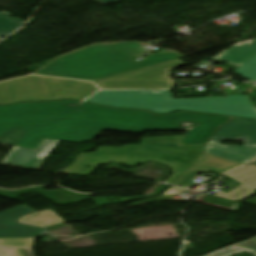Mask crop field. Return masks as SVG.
Wrapping results in <instances>:
<instances>
[{
  "label": "crop field",
  "mask_w": 256,
  "mask_h": 256,
  "mask_svg": "<svg viewBox=\"0 0 256 256\" xmlns=\"http://www.w3.org/2000/svg\"><path fill=\"white\" fill-rule=\"evenodd\" d=\"M152 115L77 101L19 103L0 106V137L11 129L23 130L15 146L36 150L44 139L81 142L102 130L143 133Z\"/></svg>",
  "instance_id": "8a807250"
},
{
  "label": "crop field",
  "mask_w": 256,
  "mask_h": 256,
  "mask_svg": "<svg viewBox=\"0 0 256 256\" xmlns=\"http://www.w3.org/2000/svg\"><path fill=\"white\" fill-rule=\"evenodd\" d=\"M140 43L95 45L81 51L62 56L37 72L38 75L55 76L79 80L97 81L130 71L180 58L177 53L163 51L138 63L136 50Z\"/></svg>",
  "instance_id": "ac0d7876"
},
{
  "label": "crop field",
  "mask_w": 256,
  "mask_h": 256,
  "mask_svg": "<svg viewBox=\"0 0 256 256\" xmlns=\"http://www.w3.org/2000/svg\"><path fill=\"white\" fill-rule=\"evenodd\" d=\"M184 136L142 138L140 145L121 148L100 147L94 153H85L72 174L88 176L99 164L109 162L135 166L148 161L164 164L173 170L165 181L174 184L200 157L206 145L179 146ZM87 165H91L86 169Z\"/></svg>",
  "instance_id": "34b2d1b8"
},
{
  "label": "crop field",
  "mask_w": 256,
  "mask_h": 256,
  "mask_svg": "<svg viewBox=\"0 0 256 256\" xmlns=\"http://www.w3.org/2000/svg\"><path fill=\"white\" fill-rule=\"evenodd\" d=\"M227 100L228 111H226L224 98L172 100L167 91H100L86 101L112 107H130L151 111L154 106H168L256 115L253 106L243 104L240 96H228Z\"/></svg>",
  "instance_id": "412701ff"
},
{
  "label": "crop field",
  "mask_w": 256,
  "mask_h": 256,
  "mask_svg": "<svg viewBox=\"0 0 256 256\" xmlns=\"http://www.w3.org/2000/svg\"><path fill=\"white\" fill-rule=\"evenodd\" d=\"M96 90L89 82L30 76L1 83L0 104L56 99L82 101Z\"/></svg>",
  "instance_id": "f4fd0767"
},
{
  "label": "crop field",
  "mask_w": 256,
  "mask_h": 256,
  "mask_svg": "<svg viewBox=\"0 0 256 256\" xmlns=\"http://www.w3.org/2000/svg\"><path fill=\"white\" fill-rule=\"evenodd\" d=\"M182 65L186 64L177 59L150 68L97 81V83L102 89L171 88L173 80L170 79L169 75L172 69Z\"/></svg>",
  "instance_id": "dd49c442"
},
{
  "label": "crop field",
  "mask_w": 256,
  "mask_h": 256,
  "mask_svg": "<svg viewBox=\"0 0 256 256\" xmlns=\"http://www.w3.org/2000/svg\"><path fill=\"white\" fill-rule=\"evenodd\" d=\"M57 143L44 140L36 151L13 147L0 165L37 170Z\"/></svg>",
  "instance_id": "e52e79f7"
},
{
  "label": "crop field",
  "mask_w": 256,
  "mask_h": 256,
  "mask_svg": "<svg viewBox=\"0 0 256 256\" xmlns=\"http://www.w3.org/2000/svg\"><path fill=\"white\" fill-rule=\"evenodd\" d=\"M34 211L26 206L0 214V238L40 237L48 229L16 223V218Z\"/></svg>",
  "instance_id": "d8731c3e"
},
{
  "label": "crop field",
  "mask_w": 256,
  "mask_h": 256,
  "mask_svg": "<svg viewBox=\"0 0 256 256\" xmlns=\"http://www.w3.org/2000/svg\"><path fill=\"white\" fill-rule=\"evenodd\" d=\"M246 140L244 145L256 146V120L235 118L217 130L210 143L221 144L222 140Z\"/></svg>",
  "instance_id": "5a996713"
},
{
  "label": "crop field",
  "mask_w": 256,
  "mask_h": 256,
  "mask_svg": "<svg viewBox=\"0 0 256 256\" xmlns=\"http://www.w3.org/2000/svg\"><path fill=\"white\" fill-rule=\"evenodd\" d=\"M241 165L244 164L203 153L201 159L181 177L176 185L193 189L197 185L191 181L199 172L210 171L223 174L225 171Z\"/></svg>",
  "instance_id": "3316defc"
},
{
  "label": "crop field",
  "mask_w": 256,
  "mask_h": 256,
  "mask_svg": "<svg viewBox=\"0 0 256 256\" xmlns=\"http://www.w3.org/2000/svg\"><path fill=\"white\" fill-rule=\"evenodd\" d=\"M230 119L232 118L212 115L204 123L188 131L181 145L207 144L215 129Z\"/></svg>",
  "instance_id": "28ad6ade"
},
{
  "label": "crop field",
  "mask_w": 256,
  "mask_h": 256,
  "mask_svg": "<svg viewBox=\"0 0 256 256\" xmlns=\"http://www.w3.org/2000/svg\"><path fill=\"white\" fill-rule=\"evenodd\" d=\"M211 115L179 112L168 116L153 115L149 130H175L183 121L201 124Z\"/></svg>",
  "instance_id": "d1516ede"
},
{
  "label": "crop field",
  "mask_w": 256,
  "mask_h": 256,
  "mask_svg": "<svg viewBox=\"0 0 256 256\" xmlns=\"http://www.w3.org/2000/svg\"><path fill=\"white\" fill-rule=\"evenodd\" d=\"M205 153L246 164L256 158V147L209 144Z\"/></svg>",
  "instance_id": "22f410ed"
},
{
  "label": "crop field",
  "mask_w": 256,
  "mask_h": 256,
  "mask_svg": "<svg viewBox=\"0 0 256 256\" xmlns=\"http://www.w3.org/2000/svg\"><path fill=\"white\" fill-rule=\"evenodd\" d=\"M256 54V39L238 43L227 51L219 53L215 59L241 66Z\"/></svg>",
  "instance_id": "cbeb9de0"
},
{
  "label": "crop field",
  "mask_w": 256,
  "mask_h": 256,
  "mask_svg": "<svg viewBox=\"0 0 256 256\" xmlns=\"http://www.w3.org/2000/svg\"><path fill=\"white\" fill-rule=\"evenodd\" d=\"M17 222L46 228L65 222V220L57 216L53 210H44L20 217Z\"/></svg>",
  "instance_id": "5142ce71"
},
{
  "label": "crop field",
  "mask_w": 256,
  "mask_h": 256,
  "mask_svg": "<svg viewBox=\"0 0 256 256\" xmlns=\"http://www.w3.org/2000/svg\"><path fill=\"white\" fill-rule=\"evenodd\" d=\"M35 239H0V256H24L19 248L31 249Z\"/></svg>",
  "instance_id": "d9b57169"
},
{
  "label": "crop field",
  "mask_w": 256,
  "mask_h": 256,
  "mask_svg": "<svg viewBox=\"0 0 256 256\" xmlns=\"http://www.w3.org/2000/svg\"><path fill=\"white\" fill-rule=\"evenodd\" d=\"M244 251H247L256 256V237L245 242L232 245L207 256H233Z\"/></svg>",
  "instance_id": "733c2abd"
},
{
  "label": "crop field",
  "mask_w": 256,
  "mask_h": 256,
  "mask_svg": "<svg viewBox=\"0 0 256 256\" xmlns=\"http://www.w3.org/2000/svg\"><path fill=\"white\" fill-rule=\"evenodd\" d=\"M9 15L7 12L0 13V37L14 32L25 22L19 18L10 19Z\"/></svg>",
  "instance_id": "4a817a6b"
},
{
  "label": "crop field",
  "mask_w": 256,
  "mask_h": 256,
  "mask_svg": "<svg viewBox=\"0 0 256 256\" xmlns=\"http://www.w3.org/2000/svg\"><path fill=\"white\" fill-rule=\"evenodd\" d=\"M236 73L250 81H256V55L238 68Z\"/></svg>",
  "instance_id": "bc2a9ffb"
},
{
  "label": "crop field",
  "mask_w": 256,
  "mask_h": 256,
  "mask_svg": "<svg viewBox=\"0 0 256 256\" xmlns=\"http://www.w3.org/2000/svg\"><path fill=\"white\" fill-rule=\"evenodd\" d=\"M175 109L189 110V111H194V112L215 113V114H222V115H228V116H239V117H244V118H255L256 117V116H252V115L232 114V113H224V112H217V111H204V110L189 109V108L155 107L152 112H155V113H168V112L173 111Z\"/></svg>",
  "instance_id": "214f88e0"
},
{
  "label": "crop field",
  "mask_w": 256,
  "mask_h": 256,
  "mask_svg": "<svg viewBox=\"0 0 256 256\" xmlns=\"http://www.w3.org/2000/svg\"><path fill=\"white\" fill-rule=\"evenodd\" d=\"M21 135L22 131L12 130L0 138V143L14 146Z\"/></svg>",
  "instance_id": "92a150f3"
},
{
  "label": "crop field",
  "mask_w": 256,
  "mask_h": 256,
  "mask_svg": "<svg viewBox=\"0 0 256 256\" xmlns=\"http://www.w3.org/2000/svg\"><path fill=\"white\" fill-rule=\"evenodd\" d=\"M95 1H97V2H99L101 4H103V5H106V4H108V3L112 2V1L117 2L119 0H95Z\"/></svg>",
  "instance_id": "dafd665d"
},
{
  "label": "crop field",
  "mask_w": 256,
  "mask_h": 256,
  "mask_svg": "<svg viewBox=\"0 0 256 256\" xmlns=\"http://www.w3.org/2000/svg\"><path fill=\"white\" fill-rule=\"evenodd\" d=\"M21 251L23 252V254H24L25 256H32V254H31V251H30V250L21 249Z\"/></svg>",
  "instance_id": "00972430"
},
{
  "label": "crop field",
  "mask_w": 256,
  "mask_h": 256,
  "mask_svg": "<svg viewBox=\"0 0 256 256\" xmlns=\"http://www.w3.org/2000/svg\"><path fill=\"white\" fill-rule=\"evenodd\" d=\"M253 164H255V165H256V161H254V162H253Z\"/></svg>",
  "instance_id": "a9b5d70f"
}]
</instances>
